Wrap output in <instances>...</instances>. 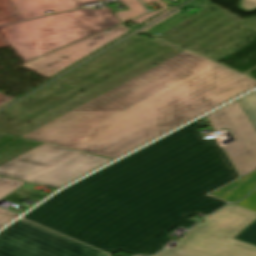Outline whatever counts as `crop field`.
<instances>
[{
  "instance_id": "1",
  "label": "crop field",
  "mask_w": 256,
  "mask_h": 256,
  "mask_svg": "<svg viewBox=\"0 0 256 256\" xmlns=\"http://www.w3.org/2000/svg\"><path fill=\"white\" fill-rule=\"evenodd\" d=\"M203 118L54 195L23 218L113 253L153 255L174 225L222 201L206 193L238 175Z\"/></svg>"
},
{
  "instance_id": "2",
  "label": "crop field",
  "mask_w": 256,
  "mask_h": 256,
  "mask_svg": "<svg viewBox=\"0 0 256 256\" xmlns=\"http://www.w3.org/2000/svg\"><path fill=\"white\" fill-rule=\"evenodd\" d=\"M254 86L184 50L22 138L116 159Z\"/></svg>"
},
{
  "instance_id": "3",
  "label": "crop field",
  "mask_w": 256,
  "mask_h": 256,
  "mask_svg": "<svg viewBox=\"0 0 256 256\" xmlns=\"http://www.w3.org/2000/svg\"><path fill=\"white\" fill-rule=\"evenodd\" d=\"M109 8H87L0 26V34L24 62L119 25Z\"/></svg>"
},
{
  "instance_id": "4",
  "label": "crop field",
  "mask_w": 256,
  "mask_h": 256,
  "mask_svg": "<svg viewBox=\"0 0 256 256\" xmlns=\"http://www.w3.org/2000/svg\"><path fill=\"white\" fill-rule=\"evenodd\" d=\"M105 158L43 143L0 166V176L58 189L110 162Z\"/></svg>"
},
{
  "instance_id": "5",
  "label": "crop field",
  "mask_w": 256,
  "mask_h": 256,
  "mask_svg": "<svg viewBox=\"0 0 256 256\" xmlns=\"http://www.w3.org/2000/svg\"><path fill=\"white\" fill-rule=\"evenodd\" d=\"M0 256H107L22 219L0 233Z\"/></svg>"
},
{
  "instance_id": "6",
  "label": "crop field",
  "mask_w": 256,
  "mask_h": 256,
  "mask_svg": "<svg viewBox=\"0 0 256 256\" xmlns=\"http://www.w3.org/2000/svg\"><path fill=\"white\" fill-rule=\"evenodd\" d=\"M206 117L214 130L229 129L235 137L224 149L241 177L256 170V130L237 100Z\"/></svg>"
},
{
  "instance_id": "7",
  "label": "crop field",
  "mask_w": 256,
  "mask_h": 256,
  "mask_svg": "<svg viewBox=\"0 0 256 256\" xmlns=\"http://www.w3.org/2000/svg\"><path fill=\"white\" fill-rule=\"evenodd\" d=\"M233 235L210 228L199 222L177 240L173 249H165L154 256H256V247L232 239Z\"/></svg>"
},
{
  "instance_id": "8",
  "label": "crop field",
  "mask_w": 256,
  "mask_h": 256,
  "mask_svg": "<svg viewBox=\"0 0 256 256\" xmlns=\"http://www.w3.org/2000/svg\"><path fill=\"white\" fill-rule=\"evenodd\" d=\"M111 30H113L112 33H98L28 61L22 64V66L49 78L80 58L120 37L130 29L126 28L124 25H119L111 28Z\"/></svg>"
},
{
  "instance_id": "9",
  "label": "crop field",
  "mask_w": 256,
  "mask_h": 256,
  "mask_svg": "<svg viewBox=\"0 0 256 256\" xmlns=\"http://www.w3.org/2000/svg\"><path fill=\"white\" fill-rule=\"evenodd\" d=\"M256 219V213L245 208L230 204L208 218L205 222L221 224L235 230L228 233L238 234L248 224ZM234 235V236H235ZM233 236V237H234Z\"/></svg>"
},
{
  "instance_id": "10",
  "label": "crop field",
  "mask_w": 256,
  "mask_h": 256,
  "mask_svg": "<svg viewBox=\"0 0 256 256\" xmlns=\"http://www.w3.org/2000/svg\"><path fill=\"white\" fill-rule=\"evenodd\" d=\"M23 19L77 8L75 0H10Z\"/></svg>"
},
{
  "instance_id": "11",
  "label": "crop field",
  "mask_w": 256,
  "mask_h": 256,
  "mask_svg": "<svg viewBox=\"0 0 256 256\" xmlns=\"http://www.w3.org/2000/svg\"><path fill=\"white\" fill-rule=\"evenodd\" d=\"M256 186V171L211 193L227 202H237Z\"/></svg>"
},
{
  "instance_id": "12",
  "label": "crop field",
  "mask_w": 256,
  "mask_h": 256,
  "mask_svg": "<svg viewBox=\"0 0 256 256\" xmlns=\"http://www.w3.org/2000/svg\"><path fill=\"white\" fill-rule=\"evenodd\" d=\"M22 184H24V182L1 177L0 200L7 196L8 194H10L11 192H13L14 190H16L17 188H19ZM18 216V214L0 208V228Z\"/></svg>"
},
{
  "instance_id": "13",
  "label": "crop field",
  "mask_w": 256,
  "mask_h": 256,
  "mask_svg": "<svg viewBox=\"0 0 256 256\" xmlns=\"http://www.w3.org/2000/svg\"><path fill=\"white\" fill-rule=\"evenodd\" d=\"M124 5H127L129 11L118 12L117 16L121 21L132 19L145 13V10L139 0H121Z\"/></svg>"
},
{
  "instance_id": "14",
  "label": "crop field",
  "mask_w": 256,
  "mask_h": 256,
  "mask_svg": "<svg viewBox=\"0 0 256 256\" xmlns=\"http://www.w3.org/2000/svg\"><path fill=\"white\" fill-rule=\"evenodd\" d=\"M238 102L240 103L256 129V93L252 92L238 99Z\"/></svg>"
},
{
  "instance_id": "15",
  "label": "crop field",
  "mask_w": 256,
  "mask_h": 256,
  "mask_svg": "<svg viewBox=\"0 0 256 256\" xmlns=\"http://www.w3.org/2000/svg\"><path fill=\"white\" fill-rule=\"evenodd\" d=\"M191 16H193V15L184 11V12L180 13L179 15L175 16L174 18L168 20L167 22L148 31L146 34L153 35L156 32L162 34V33L166 32L167 30L171 29L172 27L176 26L177 24L188 19Z\"/></svg>"
},
{
  "instance_id": "16",
  "label": "crop field",
  "mask_w": 256,
  "mask_h": 256,
  "mask_svg": "<svg viewBox=\"0 0 256 256\" xmlns=\"http://www.w3.org/2000/svg\"><path fill=\"white\" fill-rule=\"evenodd\" d=\"M235 238L256 246V220Z\"/></svg>"
},
{
  "instance_id": "17",
  "label": "crop field",
  "mask_w": 256,
  "mask_h": 256,
  "mask_svg": "<svg viewBox=\"0 0 256 256\" xmlns=\"http://www.w3.org/2000/svg\"><path fill=\"white\" fill-rule=\"evenodd\" d=\"M239 206L245 207L256 212V189L253 190L247 197H245L239 204Z\"/></svg>"
},
{
  "instance_id": "18",
  "label": "crop field",
  "mask_w": 256,
  "mask_h": 256,
  "mask_svg": "<svg viewBox=\"0 0 256 256\" xmlns=\"http://www.w3.org/2000/svg\"><path fill=\"white\" fill-rule=\"evenodd\" d=\"M156 4L159 5V6H161L162 8H160V9H158V10H156V11H153V12H151V13H149V14H146V15H144V16H141V17H138V18H136V19H133V20H131V21H128V22H132V23H135V24H139V23H141V22L147 20L148 18H150V17L153 16L154 14H156V13L160 12L161 10L167 8L163 2H156ZM133 28H134V27H133Z\"/></svg>"
},
{
  "instance_id": "19",
  "label": "crop field",
  "mask_w": 256,
  "mask_h": 256,
  "mask_svg": "<svg viewBox=\"0 0 256 256\" xmlns=\"http://www.w3.org/2000/svg\"><path fill=\"white\" fill-rule=\"evenodd\" d=\"M239 7L243 11L250 12L256 9V0H240Z\"/></svg>"
},
{
  "instance_id": "20",
  "label": "crop field",
  "mask_w": 256,
  "mask_h": 256,
  "mask_svg": "<svg viewBox=\"0 0 256 256\" xmlns=\"http://www.w3.org/2000/svg\"><path fill=\"white\" fill-rule=\"evenodd\" d=\"M211 227L215 228V229H218V230H221V231H224V232L233 230V229H230V228H227V227H224V226H220V225H217V224H211Z\"/></svg>"
},
{
  "instance_id": "21",
  "label": "crop field",
  "mask_w": 256,
  "mask_h": 256,
  "mask_svg": "<svg viewBox=\"0 0 256 256\" xmlns=\"http://www.w3.org/2000/svg\"><path fill=\"white\" fill-rule=\"evenodd\" d=\"M94 1H100V0H76L78 6L88 3V2H94Z\"/></svg>"
},
{
  "instance_id": "22",
  "label": "crop field",
  "mask_w": 256,
  "mask_h": 256,
  "mask_svg": "<svg viewBox=\"0 0 256 256\" xmlns=\"http://www.w3.org/2000/svg\"><path fill=\"white\" fill-rule=\"evenodd\" d=\"M225 204H227V203L223 202V203L219 204L218 206L214 207L213 209L209 210L208 212H206V213H204V214H208V213H210V212L216 210L217 208H219V207H221V206H223V205H225Z\"/></svg>"
},
{
  "instance_id": "23",
  "label": "crop field",
  "mask_w": 256,
  "mask_h": 256,
  "mask_svg": "<svg viewBox=\"0 0 256 256\" xmlns=\"http://www.w3.org/2000/svg\"><path fill=\"white\" fill-rule=\"evenodd\" d=\"M143 2H148V1H157V0H142Z\"/></svg>"
},
{
  "instance_id": "24",
  "label": "crop field",
  "mask_w": 256,
  "mask_h": 256,
  "mask_svg": "<svg viewBox=\"0 0 256 256\" xmlns=\"http://www.w3.org/2000/svg\"><path fill=\"white\" fill-rule=\"evenodd\" d=\"M189 222H196V221L190 220Z\"/></svg>"
}]
</instances>
